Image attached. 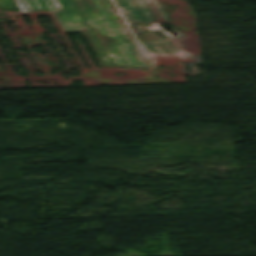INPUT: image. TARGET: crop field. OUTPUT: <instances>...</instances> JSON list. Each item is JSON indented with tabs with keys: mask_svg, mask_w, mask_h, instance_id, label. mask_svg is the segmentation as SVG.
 Segmentation results:
<instances>
[{
	"mask_svg": "<svg viewBox=\"0 0 256 256\" xmlns=\"http://www.w3.org/2000/svg\"><path fill=\"white\" fill-rule=\"evenodd\" d=\"M67 32H82L102 66H150L110 0H57Z\"/></svg>",
	"mask_w": 256,
	"mask_h": 256,
	"instance_id": "1",
	"label": "crop field"
},
{
	"mask_svg": "<svg viewBox=\"0 0 256 256\" xmlns=\"http://www.w3.org/2000/svg\"><path fill=\"white\" fill-rule=\"evenodd\" d=\"M127 23L150 26L156 19L144 0H113Z\"/></svg>",
	"mask_w": 256,
	"mask_h": 256,
	"instance_id": "2",
	"label": "crop field"
},
{
	"mask_svg": "<svg viewBox=\"0 0 256 256\" xmlns=\"http://www.w3.org/2000/svg\"><path fill=\"white\" fill-rule=\"evenodd\" d=\"M147 55L176 53L168 39L139 40Z\"/></svg>",
	"mask_w": 256,
	"mask_h": 256,
	"instance_id": "3",
	"label": "crop field"
},
{
	"mask_svg": "<svg viewBox=\"0 0 256 256\" xmlns=\"http://www.w3.org/2000/svg\"><path fill=\"white\" fill-rule=\"evenodd\" d=\"M26 11H56L59 9L55 0H17Z\"/></svg>",
	"mask_w": 256,
	"mask_h": 256,
	"instance_id": "4",
	"label": "crop field"
},
{
	"mask_svg": "<svg viewBox=\"0 0 256 256\" xmlns=\"http://www.w3.org/2000/svg\"><path fill=\"white\" fill-rule=\"evenodd\" d=\"M145 1L149 6V8L151 9L152 13L154 14L155 18L157 19L158 23H167L166 19L164 18L163 14L161 13L155 1L154 0H145Z\"/></svg>",
	"mask_w": 256,
	"mask_h": 256,
	"instance_id": "5",
	"label": "crop field"
},
{
	"mask_svg": "<svg viewBox=\"0 0 256 256\" xmlns=\"http://www.w3.org/2000/svg\"><path fill=\"white\" fill-rule=\"evenodd\" d=\"M1 10H18L13 0H0Z\"/></svg>",
	"mask_w": 256,
	"mask_h": 256,
	"instance_id": "6",
	"label": "crop field"
}]
</instances>
